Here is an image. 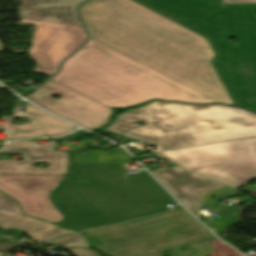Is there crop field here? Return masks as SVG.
Wrapping results in <instances>:
<instances>
[{
  "instance_id": "8",
  "label": "crop field",
  "mask_w": 256,
  "mask_h": 256,
  "mask_svg": "<svg viewBox=\"0 0 256 256\" xmlns=\"http://www.w3.org/2000/svg\"><path fill=\"white\" fill-rule=\"evenodd\" d=\"M64 176L0 173V190L17 200L24 214L57 223L64 217L53 205L50 193Z\"/></svg>"
},
{
  "instance_id": "14",
  "label": "crop field",
  "mask_w": 256,
  "mask_h": 256,
  "mask_svg": "<svg viewBox=\"0 0 256 256\" xmlns=\"http://www.w3.org/2000/svg\"><path fill=\"white\" fill-rule=\"evenodd\" d=\"M20 17L81 25L74 6L84 0H16Z\"/></svg>"
},
{
  "instance_id": "18",
  "label": "crop field",
  "mask_w": 256,
  "mask_h": 256,
  "mask_svg": "<svg viewBox=\"0 0 256 256\" xmlns=\"http://www.w3.org/2000/svg\"><path fill=\"white\" fill-rule=\"evenodd\" d=\"M62 248L69 250L75 256H99L95 251L89 250L87 248Z\"/></svg>"
},
{
  "instance_id": "11",
  "label": "crop field",
  "mask_w": 256,
  "mask_h": 256,
  "mask_svg": "<svg viewBox=\"0 0 256 256\" xmlns=\"http://www.w3.org/2000/svg\"><path fill=\"white\" fill-rule=\"evenodd\" d=\"M56 144L54 142H47L40 145L27 140L12 142L0 153H23L24 161L0 160V172L65 174L68 166L67 153L53 151ZM36 162L49 163V167L47 169H39L30 166ZM18 163H21V165H18Z\"/></svg>"
},
{
  "instance_id": "22",
  "label": "crop field",
  "mask_w": 256,
  "mask_h": 256,
  "mask_svg": "<svg viewBox=\"0 0 256 256\" xmlns=\"http://www.w3.org/2000/svg\"><path fill=\"white\" fill-rule=\"evenodd\" d=\"M99 132L104 133V134H109V135H111V136H113V137H115V136L118 135V134H115V133H111V132L105 131V130H103V129L99 130Z\"/></svg>"
},
{
  "instance_id": "9",
  "label": "crop field",
  "mask_w": 256,
  "mask_h": 256,
  "mask_svg": "<svg viewBox=\"0 0 256 256\" xmlns=\"http://www.w3.org/2000/svg\"><path fill=\"white\" fill-rule=\"evenodd\" d=\"M52 94L62 95L61 99L50 98ZM28 100L90 130L107 124L115 112L50 80Z\"/></svg>"
},
{
  "instance_id": "12",
  "label": "crop field",
  "mask_w": 256,
  "mask_h": 256,
  "mask_svg": "<svg viewBox=\"0 0 256 256\" xmlns=\"http://www.w3.org/2000/svg\"><path fill=\"white\" fill-rule=\"evenodd\" d=\"M0 227L18 229L37 243L77 231L59 228L56 224L40 221L22 214L16 201L0 193Z\"/></svg>"
},
{
  "instance_id": "26",
  "label": "crop field",
  "mask_w": 256,
  "mask_h": 256,
  "mask_svg": "<svg viewBox=\"0 0 256 256\" xmlns=\"http://www.w3.org/2000/svg\"><path fill=\"white\" fill-rule=\"evenodd\" d=\"M3 254V253H0V255Z\"/></svg>"
},
{
  "instance_id": "13",
  "label": "crop field",
  "mask_w": 256,
  "mask_h": 256,
  "mask_svg": "<svg viewBox=\"0 0 256 256\" xmlns=\"http://www.w3.org/2000/svg\"><path fill=\"white\" fill-rule=\"evenodd\" d=\"M24 105L27 112L15 114V116L29 117L32 123L7 126L8 138L11 140L24 137L59 136L76 128V126L54 117L26 101Z\"/></svg>"
},
{
  "instance_id": "21",
  "label": "crop field",
  "mask_w": 256,
  "mask_h": 256,
  "mask_svg": "<svg viewBox=\"0 0 256 256\" xmlns=\"http://www.w3.org/2000/svg\"><path fill=\"white\" fill-rule=\"evenodd\" d=\"M118 138L124 139V140H128V141H131V142H135V143H137L139 141V140H136V139H133V138H129V137L123 136V135H121Z\"/></svg>"
},
{
  "instance_id": "2",
  "label": "crop field",
  "mask_w": 256,
  "mask_h": 256,
  "mask_svg": "<svg viewBox=\"0 0 256 256\" xmlns=\"http://www.w3.org/2000/svg\"><path fill=\"white\" fill-rule=\"evenodd\" d=\"M207 37L214 66L238 107L256 113V4L221 5V0H134ZM234 38L233 45L227 39Z\"/></svg>"
},
{
  "instance_id": "17",
  "label": "crop field",
  "mask_w": 256,
  "mask_h": 256,
  "mask_svg": "<svg viewBox=\"0 0 256 256\" xmlns=\"http://www.w3.org/2000/svg\"><path fill=\"white\" fill-rule=\"evenodd\" d=\"M44 244H53L58 246H77V247H88L89 241L83 236L82 233L73 234L63 238L48 241Z\"/></svg>"
},
{
  "instance_id": "16",
  "label": "crop field",
  "mask_w": 256,
  "mask_h": 256,
  "mask_svg": "<svg viewBox=\"0 0 256 256\" xmlns=\"http://www.w3.org/2000/svg\"><path fill=\"white\" fill-rule=\"evenodd\" d=\"M122 148H114L109 150L95 149L89 150L87 154H74V163H98V162H131L124 153ZM111 159V161H106Z\"/></svg>"
},
{
  "instance_id": "5",
  "label": "crop field",
  "mask_w": 256,
  "mask_h": 256,
  "mask_svg": "<svg viewBox=\"0 0 256 256\" xmlns=\"http://www.w3.org/2000/svg\"><path fill=\"white\" fill-rule=\"evenodd\" d=\"M182 230L187 232L171 237ZM85 233L94 248L109 256H162L160 253L166 251H173L179 256H208L213 252V246L198 247L193 242L215 238L184 209L134 224L127 222ZM184 244L189 246L182 252L181 245ZM188 250L189 255H186ZM193 250L198 251L196 255L191 253Z\"/></svg>"
},
{
  "instance_id": "19",
  "label": "crop field",
  "mask_w": 256,
  "mask_h": 256,
  "mask_svg": "<svg viewBox=\"0 0 256 256\" xmlns=\"http://www.w3.org/2000/svg\"><path fill=\"white\" fill-rule=\"evenodd\" d=\"M224 3H256V0H225Z\"/></svg>"
},
{
  "instance_id": "3",
  "label": "crop field",
  "mask_w": 256,
  "mask_h": 256,
  "mask_svg": "<svg viewBox=\"0 0 256 256\" xmlns=\"http://www.w3.org/2000/svg\"><path fill=\"white\" fill-rule=\"evenodd\" d=\"M54 198L68 217L61 226L78 230L164 212L176 203L146 172L127 175L122 163L73 164Z\"/></svg>"
},
{
  "instance_id": "6",
  "label": "crop field",
  "mask_w": 256,
  "mask_h": 256,
  "mask_svg": "<svg viewBox=\"0 0 256 256\" xmlns=\"http://www.w3.org/2000/svg\"><path fill=\"white\" fill-rule=\"evenodd\" d=\"M155 153L234 187L256 177V138Z\"/></svg>"
},
{
  "instance_id": "10",
  "label": "crop field",
  "mask_w": 256,
  "mask_h": 256,
  "mask_svg": "<svg viewBox=\"0 0 256 256\" xmlns=\"http://www.w3.org/2000/svg\"><path fill=\"white\" fill-rule=\"evenodd\" d=\"M152 173L165 184L191 211H196L202 204L215 211L221 204L219 199L227 196L240 195L235 189L220 183L211 181L178 166L168 168L161 167ZM209 196H216L210 200Z\"/></svg>"
},
{
  "instance_id": "23",
  "label": "crop field",
  "mask_w": 256,
  "mask_h": 256,
  "mask_svg": "<svg viewBox=\"0 0 256 256\" xmlns=\"http://www.w3.org/2000/svg\"><path fill=\"white\" fill-rule=\"evenodd\" d=\"M162 113H164V111H159V112H156V113H154L155 115H158V114H162Z\"/></svg>"
},
{
  "instance_id": "20",
  "label": "crop field",
  "mask_w": 256,
  "mask_h": 256,
  "mask_svg": "<svg viewBox=\"0 0 256 256\" xmlns=\"http://www.w3.org/2000/svg\"><path fill=\"white\" fill-rule=\"evenodd\" d=\"M86 134H88V133L84 132L83 130H80V131L76 132L74 135L66 136L65 139H67V140L76 139L77 136H79V135H86Z\"/></svg>"
},
{
  "instance_id": "24",
  "label": "crop field",
  "mask_w": 256,
  "mask_h": 256,
  "mask_svg": "<svg viewBox=\"0 0 256 256\" xmlns=\"http://www.w3.org/2000/svg\"><path fill=\"white\" fill-rule=\"evenodd\" d=\"M6 125L0 124V128H5Z\"/></svg>"
},
{
  "instance_id": "25",
  "label": "crop field",
  "mask_w": 256,
  "mask_h": 256,
  "mask_svg": "<svg viewBox=\"0 0 256 256\" xmlns=\"http://www.w3.org/2000/svg\"><path fill=\"white\" fill-rule=\"evenodd\" d=\"M1 256H11V255H6V254H3V255H1Z\"/></svg>"
},
{
  "instance_id": "1",
  "label": "crop field",
  "mask_w": 256,
  "mask_h": 256,
  "mask_svg": "<svg viewBox=\"0 0 256 256\" xmlns=\"http://www.w3.org/2000/svg\"><path fill=\"white\" fill-rule=\"evenodd\" d=\"M89 42L52 81L110 108L153 100L235 106L207 38L131 1L79 7Z\"/></svg>"
},
{
  "instance_id": "15",
  "label": "crop field",
  "mask_w": 256,
  "mask_h": 256,
  "mask_svg": "<svg viewBox=\"0 0 256 256\" xmlns=\"http://www.w3.org/2000/svg\"><path fill=\"white\" fill-rule=\"evenodd\" d=\"M237 200L238 201L233 203L231 206L225 204L221 209H219L215 214L221 216V218L214 222L206 224V226L218 235L229 226H231L233 223L238 221V215L241 210H243L252 202L256 201L248 196H245V198H237ZM240 201H246L245 206L242 209L236 206V204Z\"/></svg>"
},
{
  "instance_id": "27",
  "label": "crop field",
  "mask_w": 256,
  "mask_h": 256,
  "mask_svg": "<svg viewBox=\"0 0 256 256\" xmlns=\"http://www.w3.org/2000/svg\"><path fill=\"white\" fill-rule=\"evenodd\" d=\"M1 87V86H0Z\"/></svg>"
},
{
  "instance_id": "4",
  "label": "crop field",
  "mask_w": 256,
  "mask_h": 256,
  "mask_svg": "<svg viewBox=\"0 0 256 256\" xmlns=\"http://www.w3.org/2000/svg\"><path fill=\"white\" fill-rule=\"evenodd\" d=\"M164 110L162 115L153 113ZM134 121L148 125L123 135L161 149L211 143L256 136V115L242 109L209 105L186 106L153 101L132 111L121 113L105 130L121 134L133 127Z\"/></svg>"
},
{
  "instance_id": "7",
  "label": "crop field",
  "mask_w": 256,
  "mask_h": 256,
  "mask_svg": "<svg viewBox=\"0 0 256 256\" xmlns=\"http://www.w3.org/2000/svg\"><path fill=\"white\" fill-rule=\"evenodd\" d=\"M22 23L37 25L29 56L38 64L33 71L53 76L58 64L86 40L81 26L22 18Z\"/></svg>"
}]
</instances>
